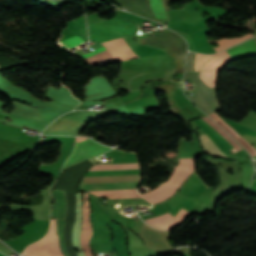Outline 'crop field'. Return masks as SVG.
I'll list each match as a JSON object with an SVG mask.
<instances>
[{
    "instance_id": "crop-field-1",
    "label": "crop field",
    "mask_w": 256,
    "mask_h": 256,
    "mask_svg": "<svg viewBox=\"0 0 256 256\" xmlns=\"http://www.w3.org/2000/svg\"><path fill=\"white\" fill-rule=\"evenodd\" d=\"M193 170H194V158L180 159V164L175 166V171L173 172L170 180L161 186L169 189L172 192H175L179 188V186L182 184V182L189 177V175L193 172ZM161 186L157 187L156 189L146 194H140V195L148 199L150 197H153L155 195L168 191L167 189ZM170 191L163 193L161 195L155 196L153 198H150L148 200L153 204L163 201L174 194Z\"/></svg>"
},
{
    "instance_id": "crop-field-2",
    "label": "crop field",
    "mask_w": 256,
    "mask_h": 256,
    "mask_svg": "<svg viewBox=\"0 0 256 256\" xmlns=\"http://www.w3.org/2000/svg\"><path fill=\"white\" fill-rule=\"evenodd\" d=\"M61 117L84 122L98 118L95 111H73ZM62 118L54 121L43 134L75 136L77 131L85 125L84 122Z\"/></svg>"
},
{
    "instance_id": "crop-field-3",
    "label": "crop field",
    "mask_w": 256,
    "mask_h": 256,
    "mask_svg": "<svg viewBox=\"0 0 256 256\" xmlns=\"http://www.w3.org/2000/svg\"><path fill=\"white\" fill-rule=\"evenodd\" d=\"M138 182L80 185L77 191H86L109 199L140 197L135 189Z\"/></svg>"
},
{
    "instance_id": "crop-field-4",
    "label": "crop field",
    "mask_w": 256,
    "mask_h": 256,
    "mask_svg": "<svg viewBox=\"0 0 256 256\" xmlns=\"http://www.w3.org/2000/svg\"><path fill=\"white\" fill-rule=\"evenodd\" d=\"M80 139H83V138L77 137L76 141L80 140ZM110 149L111 148L105 147L95 141L88 139V138L77 141L76 147H75V150H74L72 156L70 158H68V160L64 164L63 168H66L68 166L79 163L83 160H86V159L92 157V156L102 154Z\"/></svg>"
},
{
    "instance_id": "crop-field-5",
    "label": "crop field",
    "mask_w": 256,
    "mask_h": 256,
    "mask_svg": "<svg viewBox=\"0 0 256 256\" xmlns=\"http://www.w3.org/2000/svg\"><path fill=\"white\" fill-rule=\"evenodd\" d=\"M51 194L55 200V204L52 208V217L56 218L57 220L56 227L58 231L59 246L61 248L63 255L69 256L63 238L64 220L67 208L65 192L61 190H51Z\"/></svg>"
},
{
    "instance_id": "crop-field-6",
    "label": "crop field",
    "mask_w": 256,
    "mask_h": 256,
    "mask_svg": "<svg viewBox=\"0 0 256 256\" xmlns=\"http://www.w3.org/2000/svg\"><path fill=\"white\" fill-rule=\"evenodd\" d=\"M103 45L107 50L114 56L118 61L127 60L130 58L138 57L129 44L125 41L124 38L115 39Z\"/></svg>"
},
{
    "instance_id": "crop-field-7",
    "label": "crop field",
    "mask_w": 256,
    "mask_h": 256,
    "mask_svg": "<svg viewBox=\"0 0 256 256\" xmlns=\"http://www.w3.org/2000/svg\"><path fill=\"white\" fill-rule=\"evenodd\" d=\"M81 195L82 193H77L76 195V220L74 223L73 231H72V240L74 248L79 249L78 256H84L81 246H80V230H81Z\"/></svg>"
},
{
    "instance_id": "crop-field-8",
    "label": "crop field",
    "mask_w": 256,
    "mask_h": 256,
    "mask_svg": "<svg viewBox=\"0 0 256 256\" xmlns=\"http://www.w3.org/2000/svg\"><path fill=\"white\" fill-rule=\"evenodd\" d=\"M109 53L104 46L90 52V53H87V54H84L82 56H80L81 58L83 59H87L88 61H91L93 59H96L100 56H103L105 54ZM99 61H102V63L104 62H109V63H112V62H116V60L112 57V55L109 53L101 58H98L96 60H93L91 61L90 63H92L93 65L97 64Z\"/></svg>"
},
{
    "instance_id": "crop-field-9",
    "label": "crop field",
    "mask_w": 256,
    "mask_h": 256,
    "mask_svg": "<svg viewBox=\"0 0 256 256\" xmlns=\"http://www.w3.org/2000/svg\"><path fill=\"white\" fill-rule=\"evenodd\" d=\"M145 221L151 224L154 227H159L161 229H168L177 223H179L173 216L169 213L149 219H145Z\"/></svg>"
},
{
    "instance_id": "crop-field-10",
    "label": "crop field",
    "mask_w": 256,
    "mask_h": 256,
    "mask_svg": "<svg viewBox=\"0 0 256 256\" xmlns=\"http://www.w3.org/2000/svg\"><path fill=\"white\" fill-rule=\"evenodd\" d=\"M221 53L227 59L228 62L231 61L228 55L225 53V51ZM221 53L214 55V57L202 67L201 71H218L226 63H228Z\"/></svg>"
},
{
    "instance_id": "crop-field-11",
    "label": "crop field",
    "mask_w": 256,
    "mask_h": 256,
    "mask_svg": "<svg viewBox=\"0 0 256 256\" xmlns=\"http://www.w3.org/2000/svg\"><path fill=\"white\" fill-rule=\"evenodd\" d=\"M200 140L204 146V149L206 152L216 156V157H224V158H230L233 159L232 155L227 156L224 153H222L215 145L214 143L208 138V136L204 133L200 135ZM237 151L242 150L243 148L241 146L235 148Z\"/></svg>"
},
{
    "instance_id": "crop-field-12",
    "label": "crop field",
    "mask_w": 256,
    "mask_h": 256,
    "mask_svg": "<svg viewBox=\"0 0 256 256\" xmlns=\"http://www.w3.org/2000/svg\"><path fill=\"white\" fill-rule=\"evenodd\" d=\"M66 30L77 36L87 38L85 20L83 16L75 21H71L70 23H68V27L66 28Z\"/></svg>"
},
{
    "instance_id": "crop-field-13",
    "label": "crop field",
    "mask_w": 256,
    "mask_h": 256,
    "mask_svg": "<svg viewBox=\"0 0 256 256\" xmlns=\"http://www.w3.org/2000/svg\"><path fill=\"white\" fill-rule=\"evenodd\" d=\"M220 126H222L226 131H228L231 135H233L236 140L241 143L244 147L252 144L249 140H247L245 137H243L241 134H239L237 131H235L233 128H231L229 125H227L225 122H223L221 119H219L214 114L210 115Z\"/></svg>"
},
{
    "instance_id": "crop-field-14",
    "label": "crop field",
    "mask_w": 256,
    "mask_h": 256,
    "mask_svg": "<svg viewBox=\"0 0 256 256\" xmlns=\"http://www.w3.org/2000/svg\"><path fill=\"white\" fill-rule=\"evenodd\" d=\"M113 10L117 14L115 16L125 20L126 22H128V23H130V24H132V25H134L136 27L144 20V18H141L139 16L133 15L131 13L123 12V11L117 9V8H115Z\"/></svg>"
},
{
    "instance_id": "crop-field-15",
    "label": "crop field",
    "mask_w": 256,
    "mask_h": 256,
    "mask_svg": "<svg viewBox=\"0 0 256 256\" xmlns=\"http://www.w3.org/2000/svg\"><path fill=\"white\" fill-rule=\"evenodd\" d=\"M201 73V72H200ZM217 72H202L200 79L209 87L214 88Z\"/></svg>"
},
{
    "instance_id": "crop-field-16",
    "label": "crop field",
    "mask_w": 256,
    "mask_h": 256,
    "mask_svg": "<svg viewBox=\"0 0 256 256\" xmlns=\"http://www.w3.org/2000/svg\"><path fill=\"white\" fill-rule=\"evenodd\" d=\"M150 4L154 14H165L162 0H150Z\"/></svg>"
},
{
    "instance_id": "crop-field-17",
    "label": "crop field",
    "mask_w": 256,
    "mask_h": 256,
    "mask_svg": "<svg viewBox=\"0 0 256 256\" xmlns=\"http://www.w3.org/2000/svg\"><path fill=\"white\" fill-rule=\"evenodd\" d=\"M84 42L81 38L74 36L69 39H66L62 41L66 45L67 48H73L76 47L78 44Z\"/></svg>"
}]
</instances>
